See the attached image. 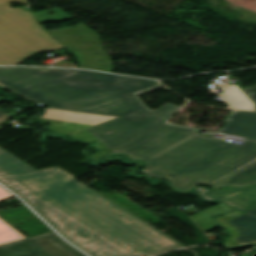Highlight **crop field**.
Returning a JSON list of instances; mask_svg holds the SVG:
<instances>
[{
	"mask_svg": "<svg viewBox=\"0 0 256 256\" xmlns=\"http://www.w3.org/2000/svg\"><path fill=\"white\" fill-rule=\"evenodd\" d=\"M196 132L163 123L111 153L145 162L140 172L168 179L171 189L182 193L199 184L214 189L256 184V140L237 145Z\"/></svg>",
	"mask_w": 256,
	"mask_h": 256,
	"instance_id": "crop-field-3",
	"label": "crop field"
},
{
	"mask_svg": "<svg viewBox=\"0 0 256 256\" xmlns=\"http://www.w3.org/2000/svg\"><path fill=\"white\" fill-rule=\"evenodd\" d=\"M40 120L50 121L52 123V125L49 128H47V130L61 133V134L71 135L70 138H72V139L83 140V141H87L90 143H92V142L97 143L96 146H98L101 149V151L96 154L91 155L90 156L91 159H96V158L110 152V150L107 147H105L88 130H86L87 128L91 127V125L46 120V119H42V118H40Z\"/></svg>",
	"mask_w": 256,
	"mask_h": 256,
	"instance_id": "crop-field-10",
	"label": "crop field"
},
{
	"mask_svg": "<svg viewBox=\"0 0 256 256\" xmlns=\"http://www.w3.org/2000/svg\"><path fill=\"white\" fill-rule=\"evenodd\" d=\"M193 193L201 196L203 201H224L243 213L256 208V187L244 189L225 188L219 192H210L207 188L199 187L194 189Z\"/></svg>",
	"mask_w": 256,
	"mask_h": 256,
	"instance_id": "crop-field-8",
	"label": "crop field"
},
{
	"mask_svg": "<svg viewBox=\"0 0 256 256\" xmlns=\"http://www.w3.org/2000/svg\"><path fill=\"white\" fill-rule=\"evenodd\" d=\"M250 256H256V252H255V253H253V254H251Z\"/></svg>",
	"mask_w": 256,
	"mask_h": 256,
	"instance_id": "crop-field-19",
	"label": "crop field"
},
{
	"mask_svg": "<svg viewBox=\"0 0 256 256\" xmlns=\"http://www.w3.org/2000/svg\"><path fill=\"white\" fill-rule=\"evenodd\" d=\"M63 48L23 9L0 11V65H18L41 53Z\"/></svg>",
	"mask_w": 256,
	"mask_h": 256,
	"instance_id": "crop-field-4",
	"label": "crop field"
},
{
	"mask_svg": "<svg viewBox=\"0 0 256 256\" xmlns=\"http://www.w3.org/2000/svg\"><path fill=\"white\" fill-rule=\"evenodd\" d=\"M9 119V114L0 111V125Z\"/></svg>",
	"mask_w": 256,
	"mask_h": 256,
	"instance_id": "crop-field-18",
	"label": "crop field"
},
{
	"mask_svg": "<svg viewBox=\"0 0 256 256\" xmlns=\"http://www.w3.org/2000/svg\"><path fill=\"white\" fill-rule=\"evenodd\" d=\"M248 96L249 98L256 104V85H253L251 87H248L244 89L242 86H240L238 83H236ZM256 110V108H255Z\"/></svg>",
	"mask_w": 256,
	"mask_h": 256,
	"instance_id": "crop-field-16",
	"label": "crop field"
},
{
	"mask_svg": "<svg viewBox=\"0 0 256 256\" xmlns=\"http://www.w3.org/2000/svg\"><path fill=\"white\" fill-rule=\"evenodd\" d=\"M0 84L48 106L117 116L88 129L111 151L179 109L167 104L152 112L139 101L136 95L159 88L156 81L103 73L0 67Z\"/></svg>",
	"mask_w": 256,
	"mask_h": 256,
	"instance_id": "crop-field-2",
	"label": "crop field"
},
{
	"mask_svg": "<svg viewBox=\"0 0 256 256\" xmlns=\"http://www.w3.org/2000/svg\"><path fill=\"white\" fill-rule=\"evenodd\" d=\"M9 197H13V195L0 187V200ZM22 239H26V237L0 218V245Z\"/></svg>",
	"mask_w": 256,
	"mask_h": 256,
	"instance_id": "crop-field-14",
	"label": "crop field"
},
{
	"mask_svg": "<svg viewBox=\"0 0 256 256\" xmlns=\"http://www.w3.org/2000/svg\"><path fill=\"white\" fill-rule=\"evenodd\" d=\"M0 182L92 256H151L183 247L62 169L37 171L1 148Z\"/></svg>",
	"mask_w": 256,
	"mask_h": 256,
	"instance_id": "crop-field-1",
	"label": "crop field"
},
{
	"mask_svg": "<svg viewBox=\"0 0 256 256\" xmlns=\"http://www.w3.org/2000/svg\"><path fill=\"white\" fill-rule=\"evenodd\" d=\"M11 1L19 2L21 4H26L25 0H0V10L9 8L10 7L9 2Z\"/></svg>",
	"mask_w": 256,
	"mask_h": 256,
	"instance_id": "crop-field-17",
	"label": "crop field"
},
{
	"mask_svg": "<svg viewBox=\"0 0 256 256\" xmlns=\"http://www.w3.org/2000/svg\"><path fill=\"white\" fill-rule=\"evenodd\" d=\"M48 12H53L55 15L51 16L48 14ZM33 16L35 17V19L37 20L38 23H41L43 21L56 22V21H60V20L74 18L71 15H69L68 13H66L58 8H54L51 11L36 12V13H33Z\"/></svg>",
	"mask_w": 256,
	"mask_h": 256,
	"instance_id": "crop-field-15",
	"label": "crop field"
},
{
	"mask_svg": "<svg viewBox=\"0 0 256 256\" xmlns=\"http://www.w3.org/2000/svg\"><path fill=\"white\" fill-rule=\"evenodd\" d=\"M224 121L220 133L256 139V112L231 111Z\"/></svg>",
	"mask_w": 256,
	"mask_h": 256,
	"instance_id": "crop-field-9",
	"label": "crop field"
},
{
	"mask_svg": "<svg viewBox=\"0 0 256 256\" xmlns=\"http://www.w3.org/2000/svg\"><path fill=\"white\" fill-rule=\"evenodd\" d=\"M214 220L230 233L228 248L256 243V209L247 214L235 210Z\"/></svg>",
	"mask_w": 256,
	"mask_h": 256,
	"instance_id": "crop-field-7",
	"label": "crop field"
},
{
	"mask_svg": "<svg viewBox=\"0 0 256 256\" xmlns=\"http://www.w3.org/2000/svg\"><path fill=\"white\" fill-rule=\"evenodd\" d=\"M0 256H86L54 232L0 246Z\"/></svg>",
	"mask_w": 256,
	"mask_h": 256,
	"instance_id": "crop-field-6",
	"label": "crop field"
},
{
	"mask_svg": "<svg viewBox=\"0 0 256 256\" xmlns=\"http://www.w3.org/2000/svg\"><path fill=\"white\" fill-rule=\"evenodd\" d=\"M45 110H46V114L42 118L78 122V123H85V124H91V125H95L97 123L108 121L110 119L115 118V117L101 116V115H94V114L60 111V110H54V109H48V108H45Z\"/></svg>",
	"mask_w": 256,
	"mask_h": 256,
	"instance_id": "crop-field-11",
	"label": "crop field"
},
{
	"mask_svg": "<svg viewBox=\"0 0 256 256\" xmlns=\"http://www.w3.org/2000/svg\"><path fill=\"white\" fill-rule=\"evenodd\" d=\"M48 30L76 56L80 67L113 72L111 57L102 48L98 33L83 24Z\"/></svg>",
	"mask_w": 256,
	"mask_h": 256,
	"instance_id": "crop-field-5",
	"label": "crop field"
},
{
	"mask_svg": "<svg viewBox=\"0 0 256 256\" xmlns=\"http://www.w3.org/2000/svg\"><path fill=\"white\" fill-rule=\"evenodd\" d=\"M223 96L232 109L254 110L255 104L247 95L237 86L220 85ZM223 98V99H224Z\"/></svg>",
	"mask_w": 256,
	"mask_h": 256,
	"instance_id": "crop-field-12",
	"label": "crop field"
},
{
	"mask_svg": "<svg viewBox=\"0 0 256 256\" xmlns=\"http://www.w3.org/2000/svg\"><path fill=\"white\" fill-rule=\"evenodd\" d=\"M232 209L233 208L223 203H220L210 209H207L203 212H200L198 214L191 216V218H193L197 222V224L203 229V231L206 233L217 226L213 221L210 220L211 216L217 215L219 213H225Z\"/></svg>",
	"mask_w": 256,
	"mask_h": 256,
	"instance_id": "crop-field-13",
	"label": "crop field"
}]
</instances>
